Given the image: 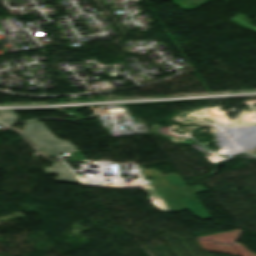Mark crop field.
Returning <instances> with one entry per match:
<instances>
[{"label": "crop field", "instance_id": "8a807250", "mask_svg": "<svg viewBox=\"0 0 256 256\" xmlns=\"http://www.w3.org/2000/svg\"><path fill=\"white\" fill-rule=\"evenodd\" d=\"M47 130L41 123L31 122L26 124L24 130L21 132L50 158H52L55 153L76 151L70 142L56 139L50 134L51 132L48 130L49 133Z\"/></svg>", "mask_w": 256, "mask_h": 256}, {"label": "crop field", "instance_id": "ac0d7876", "mask_svg": "<svg viewBox=\"0 0 256 256\" xmlns=\"http://www.w3.org/2000/svg\"><path fill=\"white\" fill-rule=\"evenodd\" d=\"M52 165L54 167L46 168L45 170L47 173H58L61 178H58L57 180L78 182L76 178L63 167L62 164L56 162Z\"/></svg>", "mask_w": 256, "mask_h": 256}, {"label": "crop field", "instance_id": "34b2d1b8", "mask_svg": "<svg viewBox=\"0 0 256 256\" xmlns=\"http://www.w3.org/2000/svg\"><path fill=\"white\" fill-rule=\"evenodd\" d=\"M232 20L235 24H238L239 26H242V27H245V28H248L250 30H253V31H256V28L251 26L253 22H251L250 20L240 16V15H236L234 16Z\"/></svg>", "mask_w": 256, "mask_h": 256}, {"label": "crop field", "instance_id": "412701ff", "mask_svg": "<svg viewBox=\"0 0 256 256\" xmlns=\"http://www.w3.org/2000/svg\"><path fill=\"white\" fill-rule=\"evenodd\" d=\"M0 120L5 124L12 123L17 120V116L11 111H0Z\"/></svg>", "mask_w": 256, "mask_h": 256}, {"label": "crop field", "instance_id": "f4fd0767", "mask_svg": "<svg viewBox=\"0 0 256 256\" xmlns=\"http://www.w3.org/2000/svg\"><path fill=\"white\" fill-rule=\"evenodd\" d=\"M196 5L202 4L204 2H207V0H188Z\"/></svg>", "mask_w": 256, "mask_h": 256}]
</instances>
